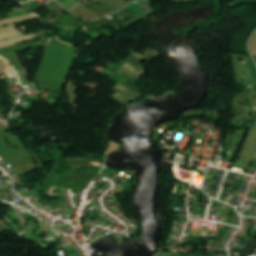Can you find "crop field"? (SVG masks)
Masks as SVG:
<instances>
[{"mask_svg":"<svg viewBox=\"0 0 256 256\" xmlns=\"http://www.w3.org/2000/svg\"><path fill=\"white\" fill-rule=\"evenodd\" d=\"M115 90L117 92L112 99L122 104H128L140 97V91L132 83L126 85L119 83Z\"/></svg>","mask_w":256,"mask_h":256,"instance_id":"1","label":"crop field"},{"mask_svg":"<svg viewBox=\"0 0 256 256\" xmlns=\"http://www.w3.org/2000/svg\"><path fill=\"white\" fill-rule=\"evenodd\" d=\"M144 56L132 53V55L129 57L125 65L123 66L122 70L120 71V74L125 75L133 80H136L138 77H140L143 73V69L140 65V62Z\"/></svg>","mask_w":256,"mask_h":256,"instance_id":"2","label":"crop field"},{"mask_svg":"<svg viewBox=\"0 0 256 256\" xmlns=\"http://www.w3.org/2000/svg\"><path fill=\"white\" fill-rule=\"evenodd\" d=\"M250 65H251V76H252V82L251 84H256V66L251 58L250 61Z\"/></svg>","mask_w":256,"mask_h":256,"instance_id":"3","label":"crop field"},{"mask_svg":"<svg viewBox=\"0 0 256 256\" xmlns=\"http://www.w3.org/2000/svg\"><path fill=\"white\" fill-rule=\"evenodd\" d=\"M106 1H108V2L118 6L120 8H122V7H124V6L129 4V2H127L125 0H106Z\"/></svg>","mask_w":256,"mask_h":256,"instance_id":"4","label":"crop field"},{"mask_svg":"<svg viewBox=\"0 0 256 256\" xmlns=\"http://www.w3.org/2000/svg\"><path fill=\"white\" fill-rule=\"evenodd\" d=\"M1 61L5 62L7 65H9V67L6 70V73H11L14 72L13 68L11 67V65L9 63H7L5 60H3L2 58H0Z\"/></svg>","mask_w":256,"mask_h":256,"instance_id":"5","label":"crop field"},{"mask_svg":"<svg viewBox=\"0 0 256 256\" xmlns=\"http://www.w3.org/2000/svg\"><path fill=\"white\" fill-rule=\"evenodd\" d=\"M197 0H176L177 3H194Z\"/></svg>","mask_w":256,"mask_h":256,"instance_id":"6","label":"crop field"},{"mask_svg":"<svg viewBox=\"0 0 256 256\" xmlns=\"http://www.w3.org/2000/svg\"><path fill=\"white\" fill-rule=\"evenodd\" d=\"M237 2H256V0H237Z\"/></svg>","mask_w":256,"mask_h":256,"instance_id":"7","label":"crop field"},{"mask_svg":"<svg viewBox=\"0 0 256 256\" xmlns=\"http://www.w3.org/2000/svg\"><path fill=\"white\" fill-rule=\"evenodd\" d=\"M255 57V59H256V56H254Z\"/></svg>","mask_w":256,"mask_h":256,"instance_id":"8","label":"crop field"}]
</instances>
